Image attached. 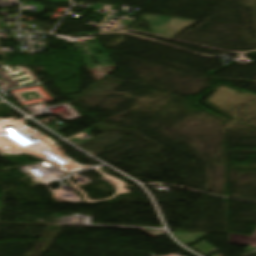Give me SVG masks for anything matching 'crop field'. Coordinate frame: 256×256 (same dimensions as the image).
Here are the masks:
<instances>
[{
	"mask_svg": "<svg viewBox=\"0 0 256 256\" xmlns=\"http://www.w3.org/2000/svg\"><path fill=\"white\" fill-rule=\"evenodd\" d=\"M228 235L230 237V243L256 248V232L252 236Z\"/></svg>",
	"mask_w": 256,
	"mask_h": 256,
	"instance_id": "crop-field-2",
	"label": "crop field"
},
{
	"mask_svg": "<svg viewBox=\"0 0 256 256\" xmlns=\"http://www.w3.org/2000/svg\"><path fill=\"white\" fill-rule=\"evenodd\" d=\"M142 18L148 22L152 33L169 37L174 36L181 30L195 22L194 20L149 14H144Z\"/></svg>",
	"mask_w": 256,
	"mask_h": 256,
	"instance_id": "crop-field-1",
	"label": "crop field"
}]
</instances>
